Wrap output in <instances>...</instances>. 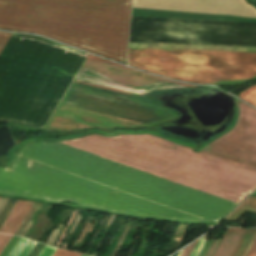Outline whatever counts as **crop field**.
I'll list each match as a JSON object with an SVG mask.
<instances>
[{"mask_svg": "<svg viewBox=\"0 0 256 256\" xmlns=\"http://www.w3.org/2000/svg\"><path fill=\"white\" fill-rule=\"evenodd\" d=\"M32 205L33 203L31 202L18 200L8 218L2 225L0 232L15 234Z\"/></svg>", "mask_w": 256, "mask_h": 256, "instance_id": "1", "label": "crop field"}, {"mask_svg": "<svg viewBox=\"0 0 256 256\" xmlns=\"http://www.w3.org/2000/svg\"><path fill=\"white\" fill-rule=\"evenodd\" d=\"M245 229L227 228L212 256H231Z\"/></svg>", "mask_w": 256, "mask_h": 256, "instance_id": "2", "label": "crop field"}, {"mask_svg": "<svg viewBox=\"0 0 256 256\" xmlns=\"http://www.w3.org/2000/svg\"><path fill=\"white\" fill-rule=\"evenodd\" d=\"M256 236V229H246L241 241L233 252L232 256H245L249 250L254 238Z\"/></svg>", "mask_w": 256, "mask_h": 256, "instance_id": "3", "label": "crop field"}, {"mask_svg": "<svg viewBox=\"0 0 256 256\" xmlns=\"http://www.w3.org/2000/svg\"><path fill=\"white\" fill-rule=\"evenodd\" d=\"M42 205L43 204H40V203H34L33 207L31 208L28 215L24 219V221L21 224V226L19 227L18 231L16 232L17 235L24 237L25 233L27 232L28 228L30 227V225L32 223L31 219L33 218L35 211L41 209Z\"/></svg>", "mask_w": 256, "mask_h": 256, "instance_id": "4", "label": "crop field"}, {"mask_svg": "<svg viewBox=\"0 0 256 256\" xmlns=\"http://www.w3.org/2000/svg\"><path fill=\"white\" fill-rule=\"evenodd\" d=\"M16 202L17 200H14V199H9V201L7 202L6 206L0 213V227L5 221V219L7 218L8 214L10 213V211L12 210Z\"/></svg>", "mask_w": 256, "mask_h": 256, "instance_id": "5", "label": "crop field"}, {"mask_svg": "<svg viewBox=\"0 0 256 256\" xmlns=\"http://www.w3.org/2000/svg\"><path fill=\"white\" fill-rule=\"evenodd\" d=\"M19 239L20 237L13 236V238L1 252L0 256H7Z\"/></svg>", "mask_w": 256, "mask_h": 256, "instance_id": "6", "label": "crop field"}, {"mask_svg": "<svg viewBox=\"0 0 256 256\" xmlns=\"http://www.w3.org/2000/svg\"><path fill=\"white\" fill-rule=\"evenodd\" d=\"M27 242H28V239L21 238V240L18 242V244L15 246V248L9 254V256H17Z\"/></svg>", "mask_w": 256, "mask_h": 256, "instance_id": "7", "label": "crop field"}, {"mask_svg": "<svg viewBox=\"0 0 256 256\" xmlns=\"http://www.w3.org/2000/svg\"><path fill=\"white\" fill-rule=\"evenodd\" d=\"M209 233L205 235L204 237L200 238L198 243L196 244L194 250L192 251L190 256H197L199 251L201 250L202 246L204 245Z\"/></svg>", "mask_w": 256, "mask_h": 256, "instance_id": "8", "label": "crop field"}, {"mask_svg": "<svg viewBox=\"0 0 256 256\" xmlns=\"http://www.w3.org/2000/svg\"><path fill=\"white\" fill-rule=\"evenodd\" d=\"M35 245H36V242L29 240V242L26 244V246L23 248V250L18 256H28V254L30 253V251L33 249Z\"/></svg>", "mask_w": 256, "mask_h": 256, "instance_id": "9", "label": "crop field"}, {"mask_svg": "<svg viewBox=\"0 0 256 256\" xmlns=\"http://www.w3.org/2000/svg\"><path fill=\"white\" fill-rule=\"evenodd\" d=\"M53 256H81L80 253H74L67 250L57 249Z\"/></svg>", "mask_w": 256, "mask_h": 256, "instance_id": "10", "label": "crop field"}, {"mask_svg": "<svg viewBox=\"0 0 256 256\" xmlns=\"http://www.w3.org/2000/svg\"><path fill=\"white\" fill-rule=\"evenodd\" d=\"M55 251L56 248L45 245V247L42 249L38 256H52Z\"/></svg>", "mask_w": 256, "mask_h": 256, "instance_id": "11", "label": "crop field"}, {"mask_svg": "<svg viewBox=\"0 0 256 256\" xmlns=\"http://www.w3.org/2000/svg\"><path fill=\"white\" fill-rule=\"evenodd\" d=\"M11 238L12 236L0 234V252L3 250V248L6 246Z\"/></svg>", "mask_w": 256, "mask_h": 256, "instance_id": "12", "label": "crop field"}, {"mask_svg": "<svg viewBox=\"0 0 256 256\" xmlns=\"http://www.w3.org/2000/svg\"><path fill=\"white\" fill-rule=\"evenodd\" d=\"M44 247L43 244L37 243V245L34 247V249L31 251L29 256H37L38 253L41 251V249Z\"/></svg>", "mask_w": 256, "mask_h": 256, "instance_id": "13", "label": "crop field"}, {"mask_svg": "<svg viewBox=\"0 0 256 256\" xmlns=\"http://www.w3.org/2000/svg\"><path fill=\"white\" fill-rule=\"evenodd\" d=\"M220 238L219 239H215L213 240L208 252L206 253L205 256H211V254L213 253L215 247L217 246L218 242H219Z\"/></svg>", "mask_w": 256, "mask_h": 256, "instance_id": "14", "label": "crop field"}, {"mask_svg": "<svg viewBox=\"0 0 256 256\" xmlns=\"http://www.w3.org/2000/svg\"><path fill=\"white\" fill-rule=\"evenodd\" d=\"M246 256H256V239Z\"/></svg>", "mask_w": 256, "mask_h": 256, "instance_id": "15", "label": "crop field"}, {"mask_svg": "<svg viewBox=\"0 0 256 256\" xmlns=\"http://www.w3.org/2000/svg\"><path fill=\"white\" fill-rule=\"evenodd\" d=\"M7 201H8V199H6V198H2V200L0 201V212L3 209V207L5 206Z\"/></svg>", "mask_w": 256, "mask_h": 256, "instance_id": "16", "label": "crop field"}, {"mask_svg": "<svg viewBox=\"0 0 256 256\" xmlns=\"http://www.w3.org/2000/svg\"><path fill=\"white\" fill-rule=\"evenodd\" d=\"M191 246H192V245H190L189 247L185 248V250H184V252L182 253L181 256H187V254H188V252H189Z\"/></svg>", "mask_w": 256, "mask_h": 256, "instance_id": "17", "label": "crop field"}, {"mask_svg": "<svg viewBox=\"0 0 256 256\" xmlns=\"http://www.w3.org/2000/svg\"><path fill=\"white\" fill-rule=\"evenodd\" d=\"M197 241H198V240H197ZM197 241H195V243H194V245H193L191 251L193 250V248H194L195 244L197 243ZM191 251L189 252L188 256L190 255Z\"/></svg>", "mask_w": 256, "mask_h": 256, "instance_id": "18", "label": "crop field"}, {"mask_svg": "<svg viewBox=\"0 0 256 256\" xmlns=\"http://www.w3.org/2000/svg\"><path fill=\"white\" fill-rule=\"evenodd\" d=\"M182 251H183V250H182ZM182 251H180V252H179L178 256H180V255H181Z\"/></svg>", "mask_w": 256, "mask_h": 256, "instance_id": "19", "label": "crop field"}, {"mask_svg": "<svg viewBox=\"0 0 256 256\" xmlns=\"http://www.w3.org/2000/svg\"><path fill=\"white\" fill-rule=\"evenodd\" d=\"M82 256H87V255L82 254Z\"/></svg>", "mask_w": 256, "mask_h": 256, "instance_id": "20", "label": "crop field"}, {"mask_svg": "<svg viewBox=\"0 0 256 256\" xmlns=\"http://www.w3.org/2000/svg\"><path fill=\"white\" fill-rule=\"evenodd\" d=\"M0 200H1V198H0Z\"/></svg>", "mask_w": 256, "mask_h": 256, "instance_id": "21", "label": "crop field"}]
</instances>
